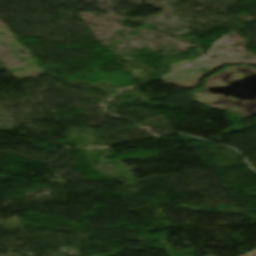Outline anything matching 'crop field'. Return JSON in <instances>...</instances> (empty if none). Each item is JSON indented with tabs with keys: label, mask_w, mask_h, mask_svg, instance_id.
<instances>
[{
	"label": "crop field",
	"mask_w": 256,
	"mask_h": 256,
	"mask_svg": "<svg viewBox=\"0 0 256 256\" xmlns=\"http://www.w3.org/2000/svg\"><path fill=\"white\" fill-rule=\"evenodd\" d=\"M247 256H256V251H253V252L247 254Z\"/></svg>",
	"instance_id": "1"
}]
</instances>
